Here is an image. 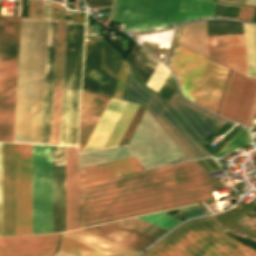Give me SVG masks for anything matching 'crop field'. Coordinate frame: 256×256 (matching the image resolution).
<instances>
[{
    "instance_id": "1",
    "label": "crop field",
    "mask_w": 256,
    "mask_h": 256,
    "mask_svg": "<svg viewBox=\"0 0 256 256\" xmlns=\"http://www.w3.org/2000/svg\"><path fill=\"white\" fill-rule=\"evenodd\" d=\"M225 188L196 160L78 185V228L212 199Z\"/></svg>"
},
{
    "instance_id": "2",
    "label": "crop field",
    "mask_w": 256,
    "mask_h": 256,
    "mask_svg": "<svg viewBox=\"0 0 256 256\" xmlns=\"http://www.w3.org/2000/svg\"><path fill=\"white\" fill-rule=\"evenodd\" d=\"M46 28L21 18L13 142L39 143Z\"/></svg>"
},
{
    "instance_id": "3",
    "label": "crop field",
    "mask_w": 256,
    "mask_h": 256,
    "mask_svg": "<svg viewBox=\"0 0 256 256\" xmlns=\"http://www.w3.org/2000/svg\"><path fill=\"white\" fill-rule=\"evenodd\" d=\"M65 231V147L52 146V232ZM51 232V146L32 145V234Z\"/></svg>"
},
{
    "instance_id": "4",
    "label": "crop field",
    "mask_w": 256,
    "mask_h": 256,
    "mask_svg": "<svg viewBox=\"0 0 256 256\" xmlns=\"http://www.w3.org/2000/svg\"><path fill=\"white\" fill-rule=\"evenodd\" d=\"M236 241L209 216L180 225L140 256H256L255 249Z\"/></svg>"
},
{
    "instance_id": "5",
    "label": "crop field",
    "mask_w": 256,
    "mask_h": 256,
    "mask_svg": "<svg viewBox=\"0 0 256 256\" xmlns=\"http://www.w3.org/2000/svg\"><path fill=\"white\" fill-rule=\"evenodd\" d=\"M84 24L67 23L59 145L76 146Z\"/></svg>"
},
{
    "instance_id": "6",
    "label": "crop field",
    "mask_w": 256,
    "mask_h": 256,
    "mask_svg": "<svg viewBox=\"0 0 256 256\" xmlns=\"http://www.w3.org/2000/svg\"><path fill=\"white\" fill-rule=\"evenodd\" d=\"M20 18L0 16V141L12 142Z\"/></svg>"
},
{
    "instance_id": "7",
    "label": "crop field",
    "mask_w": 256,
    "mask_h": 256,
    "mask_svg": "<svg viewBox=\"0 0 256 256\" xmlns=\"http://www.w3.org/2000/svg\"><path fill=\"white\" fill-rule=\"evenodd\" d=\"M122 99L138 103L147 109L189 160L208 156L206 151L167 108L168 106L166 107L161 101L162 99L160 98V100L155 93L146 89L130 70L128 71Z\"/></svg>"
},
{
    "instance_id": "8",
    "label": "crop field",
    "mask_w": 256,
    "mask_h": 256,
    "mask_svg": "<svg viewBox=\"0 0 256 256\" xmlns=\"http://www.w3.org/2000/svg\"><path fill=\"white\" fill-rule=\"evenodd\" d=\"M179 0H116L112 21L123 30L150 31L173 24Z\"/></svg>"
},
{
    "instance_id": "9",
    "label": "crop field",
    "mask_w": 256,
    "mask_h": 256,
    "mask_svg": "<svg viewBox=\"0 0 256 256\" xmlns=\"http://www.w3.org/2000/svg\"><path fill=\"white\" fill-rule=\"evenodd\" d=\"M120 62L105 42L86 41L82 89L112 97Z\"/></svg>"
},
{
    "instance_id": "10",
    "label": "crop field",
    "mask_w": 256,
    "mask_h": 256,
    "mask_svg": "<svg viewBox=\"0 0 256 256\" xmlns=\"http://www.w3.org/2000/svg\"><path fill=\"white\" fill-rule=\"evenodd\" d=\"M31 234V145L16 144V235Z\"/></svg>"
},
{
    "instance_id": "11",
    "label": "crop field",
    "mask_w": 256,
    "mask_h": 256,
    "mask_svg": "<svg viewBox=\"0 0 256 256\" xmlns=\"http://www.w3.org/2000/svg\"><path fill=\"white\" fill-rule=\"evenodd\" d=\"M203 145L225 121L191 105L177 93L166 102Z\"/></svg>"
},
{
    "instance_id": "12",
    "label": "crop field",
    "mask_w": 256,
    "mask_h": 256,
    "mask_svg": "<svg viewBox=\"0 0 256 256\" xmlns=\"http://www.w3.org/2000/svg\"><path fill=\"white\" fill-rule=\"evenodd\" d=\"M255 91V81L234 71L220 115L246 124Z\"/></svg>"
},
{
    "instance_id": "13",
    "label": "crop field",
    "mask_w": 256,
    "mask_h": 256,
    "mask_svg": "<svg viewBox=\"0 0 256 256\" xmlns=\"http://www.w3.org/2000/svg\"><path fill=\"white\" fill-rule=\"evenodd\" d=\"M60 233L0 237V256H53Z\"/></svg>"
},
{
    "instance_id": "14",
    "label": "crop field",
    "mask_w": 256,
    "mask_h": 256,
    "mask_svg": "<svg viewBox=\"0 0 256 256\" xmlns=\"http://www.w3.org/2000/svg\"><path fill=\"white\" fill-rule=\"evenodd\" d=\"M3 236L15 235V144L2 143Z\"/></svg>"
},
{
    "instance_id": "15",
    "label": "crop field",
    "mask_w": 256,
    "mask_h": 256,
    "mask_svg": "<svg viewBox=\"0 0 256 256\" xmlns=\"http://www.w3.org/2000/svg\"><path fill=\"white\" fill-rule=\"evenodd\" d=\"M207 35L243 34L242 23L206 21ZM228 67L247 76L243 35H225Z\"/></svg>"
},
{
    "instance_id": "16",
    "label": "crop field",
    "mask_w": 256,
    "mask_h": 256,
    "mask_svg": "<svg viewBox=\"0 0 256 256\" xmlns=\"http://www.w3.org/2000/svg\"><path fill=\"white\" fill-rule=\"evenodd\" d=\"M206 60V58L178 46L172 69L178 77L182 93L191 101H194Z\"/></svg>"
},
{
    "instance_id": "17",
    "label": "crop field",
    "mask_w": 256,
    "mask_h": 256,
    "mask_svg": "<svg viewBox=\"0 0 256 256\" xmlns=\"http://www.w3.org/2000/svg\"><path fill=\"white\" fill-rule=\"evenodd\" d=\"M57 22L48 21L40 143L49 144Z\"/></svg>"
},
{
    "instance_id": "18",
    "label": "crop field",
    "mask_w": 256,
    "mask_h": 256,
    "mask_svg": "<svg viewBox=\"0 0 256 256\" xmlns=\"http://www.w3.org/2000/svg\"><path fill=\"white\" fill-rule=\"evenodd\" d=\"M227 70L208 59L194 102L215 112Z\"/></svg>"
},
{
    "instance_id": "19",
    "label": "crop field",
    "mask_w": 256,
    "mask_h": 256,
    "mask_svg": "<svg viewBox=\"0 0 256 256\" xmlns=\"http://www.w3.org/2000/svg\"><path fill=\"white\" fill-rule=\"evenodd\" d=\"M66 23L58 22L50 144L58 145Z\"/></svg>"
},
{
    "instance_id": "20",
    "label": "crop field",
    "mask_w": 256,
    "mask_h": 256,
    "mask_svg": "<svg viewBox=\"0 0 256 256\" xmlns=\"http://www.w3.org/2000/svg\"><path fill=\"white\" fill-rule=\"evenodd\" d=\"M140 162L135 158L108 162L78 169V184L122 174L141 171Z\"/></svg>"
},
{
    "instance_id": "21",
    "label": "crop field",
    "mask_w": 256,
    "mask_h": 256,
    "mask_svg": "<svg viewBox=\"0 0 256 256\" xmlns=\"http://www.w3.org/2000/svg\"><path fill=\"white\" fill-rule=\"evenodd\" d=\"M95 227H99L96 229ZM90 232L111 239L138 251L148 246L155 238L117 225L113 222L84 228Z\"/></svg>"
},
{
    "instance_id": "22",
    "label": "crop field",
    "mask_w": 256,
    "mask_h": 256,
    "mask_svg": "<svg viewBox=\"0 0 256 256\" xmlns=\"http://www.w3.org/2000/svg\"><path fill=\"white\" fill-rule=\"evenodd\" d=\"M126 102L111 98L83 153L102 149Z\"/></svg>"
},
{
    "instance_id": "23",
    "label": "crop field",
    "mask_w": 256,
    "mask_h": 256,
    "mask_svg": "<svg viewBox=\"0 0 256 256\" xmlns=\"http://www.w3.org/2000/svg\"><path fill=\"white\" fill-rule=\"evenodd\" d=\"M63 236L113 256H134L138 251L110 241L83 229L62 233Z\"/></svg>"
},
{
    "instance_id": "24",
    "label": "crop field",
    "mask_w": 256,
    "mask_h": 256,
    "mask_svg": "<svg viewBox=\"0 0 256 256\" xmlns=\"http://www.w3.org/2000/svg\"><path fill=\"white\" fill-rule=\"evenodd\" d=\"M110 98L95 94L79 124L78 151L81 154Z\"/></svg>"
},
{
    "instance_id": "25",
    "label": "crop field",
    "mask_w": 256,
    "mask_h": 256,
    "mask_svg": "<svg viewBox=\"0 0 256 256\" xmlns=\"http://www.w3.org/2000/svg\"><path fill=\"white\" fill-rule=\"evenodd\" d=\"M215 4L209 0H180L173 25L191 19L212 17Z\"/></svg>"
},
{
    "instance_id": "26",
    "label": "crop field",
    "mask_w": 256,
    "mask_h": 256,
    "mask_svg": "<svg viewBox=\"0 0 256 256\" xmlns=\"http://www.w3.org/2000/svg\"><path fill=\"white\" fill-rule=\"evenodd\" d=\"M179 43L208 57L205 21L185 25Z\"/></svg>"
},
{
    "instance_id": "27",
    "label": "crop field",
    "mask_w": 256,
    "mask_h": 256,
    "mask_svg": "<svg viewBox=\"0 0 256 256\" xmlns=\"http://www.w3.org/2000/svg\"><path fill=\"white\" fill-rule=\"evenodd\" d=\"M127 61L144 84L159 62L138 44Z\"/></svg>"
},
{
    "instance_id": "28",
    "label": "crop field",
    "mask_w": 256,
    "mask_h": 256,
    "mask_svg": "<svg viewBox=\"0 0 256 256\" xmlns=\"http://www.w3.org/2000/svg\"><path fill=\"white\" fill-rule=\"evenodd\" d=\"M77 228V151L70 147V230Z\"/></svg>"
},
{
    "instance_id": "29",
    "label": "crop field",
    "mask_w": 256,
    "mask_h": 256,
    "mask_svg": "<svg viewBox=\"0 0 256 256\" xmlns=\"http://www.w3.org/2000/svg\"><path fill=\"white\" fill-rule=\"evenodd\" d=\"M137 107L138 105L127 102L103 149L117 146Z\"/></svg>"
},
{
    "instance_id": "30",
    "label": "crop field",
    "mask_w": 256,
    "mask_h": 256,
    "mask_svg": "<svg viewBox=\"0 0 256 256\" xmlns=\"http://www.w3.org/2000/svg\"><path fill=\"white\" fill-rule=\"evenodd\" d=\"M248 76L256 77V25L243 23Z\"/></svg>"
},
{
    "instance_id": "31",
    "label": "crop field",
    "mask_w": 256,
    "mask_h": 256,
    "mask_svg": "<svg viewBox=\"0 0 256 256\" xmlns=\"http://www.w3.org/2000/svg\"><path fill=\"white\" fill-rule=\"evenodd\" d=\"M61 251L74 256H110L62 236Z\"/></svg>"
},
{
    "instance_id": "32",
    "label": "crop field",
    "mask_w": 256,
    "mask_h": 256,
    "mask_svg": "<svg viewBox=\"0 0 256 256\" xmlns=\"http://www.w3.org/2000/svg\"><path fill=\"white\" fill-rule=\"evenodd\" d=\"M209 58L227 66L224 35L207 36Z\"/></svg>"
},
{
    "instance_id": "33",
    "label": "crop field",
    "mask_w": 256,
    "mask_h": 256,
    "mask_svg": "<svg viewBox=\"0 0 256 256\" xmlns=\"http://www.w3.org/2000/svg\"><path fill=\"white\" fill-rule=\"evenodd\" d=\"M116 222L156 238H158L159 236H161L163 233L167 231L135 218L116 221Z\"/></svg>"
},
{
    "instance_id": "34",
    "label": "crop field",
    "mask_w": 256,
    "mask_h": 256,
    "mask_svg": "<svg viewBox=\"0 0 256 256\" xmlns=\"http://www.w3.org/2000/svg\"><path fill=\"white\" fill-rule=\"evenodd\" d=\"M251 142L247 128L243 127L229 142H227L213 157L217 158L230 151L240 148Z\"/></svg>"
},
{
    "instance_id": "35",
    "label": "crop field",
    "mask_w": 256,
    "mask_h": 256,
    "mask_svg": "<svg viewBox=\"0 0 256 256\" xmlns=\"http://www.w3.org/2000/svg\"><path fill=\"white\" fill-rule=\"evenodd\" d=\"M137 218L144 220L146 222L152 223L154 225H157L159 227L165 228L167 230L172 228L177 223L181 222L180 220L170 217L161 212H157V213H153V214H149V215H145Z\"/></svg>"
},
{
    "instance_id": "36",
    "label": "crop field",
    "mask_w": 256,
    "mask_h": 256,
    "mask_svg": "<svg viewBox=\"0 0 256 256\" xmlns=\"http://www.w3.org/2000/svg\"><path fill=\"white\" fill-rule=\"evenodd\" d=\"M169 69L159 62L152 75L148 79L145 85L152 88L153 90H159L161 84L163 83Z\"/></svg>"
},
{
    "instance_id": "37",
    "label": "crop field",
    "mask_w": 256,
    "mask_h": 256,
    "mask_svg": "<svg viewBox=\"0 0 256 256\" xmlns=\"http://www.w3.org/2000/svg\"><path fill=\"white\" fill-rule=\"evenodd\" d=\"M176 90L177 83L172 73L169 72L167 78L165 79L158 93L162 96L163 100L166 101L174 92H176Z\"/></svg>"
},
{
    "instance_id": "38",
    "label": "crop field",
    "mask_w": 256,
    "mask_h": 256,
    "mask_svg": "<svg viewBox=\"0 0 256 256\" xmlns=\"http://www.w3.org/2000/svg\"><path fill=\"white\" fill-rule=\"evenodd\" d=\"M240 6L218 3L215 17L237 18Z\"/></svg>"
},
{
    "instance_id": "39",
    "label": "crop field",
    "mask_w": 256,
    "mask_h": 256,
    "mask_svg": "<svg viewBox=\"0 0 256 256\" xmlns=\"http://www.w3.org/2000/svg\"><path fill=\"white\" fill-rule=\"evenodd\" d=\"M128 71V66L125 62H121L119 74H118V79L114 91L113 97L121 99L122 93H123V88L126 80V75Z\"/></svg>"
},
{
    "instance_id": "40",
    "label": "crop field",
    "mask_w": 256,
    "mask_h": 256,
    "mask_svg": "<svg viewBox=\"0 0 256 256\" xmlns=\"http://www.w3.org/2000/svg\"><path fill=\"white\" fill-rule=\"evenodd\" d=\"M242 126L236 124L223 138L222 140L213 148L208 142L203 146L207 151L213 156L227 141H229L240 129Z\"/></svg>"
},
{
    "instance_id": "41",
    "label": "crop field",
    "mask_w": 256,
    "mask_h": 256,
    "mask_svg": "<svg viewBox=\"0 0 256 256\" xmlns=\"http://www.w3.org/2000/svg\"><path fill=\"white\" fill-rule=\"evenodd\" d=\"M69 230V147H66V231Z\"/></svg>"
},
{
    "instance_id": "42",
    "label": "crop field",
    "mask_w": 256,
    "mask_h": 256,
    "mask_svg": "<svg viewBox=\"0 0 256 256\" xmlns=\"http://www.w3.org/2000/svg\"><path fill=\"white\" fill-rule=\"evenodd\" d=\"M42 1L30 0L28 17L41 18Z\"/></svg>"
},
{
    "instance_id": "43",
    "label": "crop field",
    "mask_w": 256,
    "mask_h": 256,
    "mask_svg": "<svg viewBox=\"0 0 256 256\" xmlns=\"http://www.w3.org/2000/svg\"><path fill=\"white\" fill-rule=\"evenodd\" d=\"M184 216L186 219L194 217V216H198V215H202V213H200L194 205L191 206H186V207H181V208H177ZM175 210V209H173ZM171 211V210H169ZM169 211H163L164 213L169 212Z\"/></svg>"
},
{
    "instance_id": "44",
    "label": "crop field",
    "mask_w": 256,
    "mask_h": 256,
    "mask_svg": "<svg viewBox=\"0 0 256 256\" xmlns=\"http://www.w3.org/2000/svg\"><path fill=\"white\" fill-rule=\"evenodd\" d=\"M94 94L93 93H88V92H84L82 91V97H81V108H80V119L79 122L83 116V114L85 113L88 105L90 104L92 98H93Z\"/></svg>"
},
{
    "instance_id": "45",
    "label": "crop field",
    "mask_w": 256,
    "mask_h": 256,
    "mask_svg": "<svg viewBox=\"0 0 256 256\" xmlns=\"http://www.w3.org/2000/svg\"><path fill=\"white\" fill-rule=\"evenodd\" d=\"M64 7L51 2L50 19L63 20Z\"/></svg>"
},
{
    "instance_id": "46",
    "label": "crop field",
    "mask_w": 256,
    "mask_h": 256,
    "mask_svg": "<svg viewBox=\"0 0 256 256\" xmlns=\"http://www.w3.org/2000/svg\"><path fill=\"white\" fill-rule=\"evenodd\" d=\"M254 7L241 6L237 19L249 20L252 19Z\"/></svg>"
},
{
    "instance_id": "47",
    "label": "crop field",
    "mask_w": 256,
    "mask_h": 256,
    "mask_svg": "<svg viewBox=\"0 0 256 256\" xmlns=\"http://www.w3.org/2000/svg\"><path fill=\"white\" fill-rule=\"evenodd\" d=\"M183 26H180L178 28V31H177V35H176V38H175V41H174V45H173V48H172V51H171V54H170V57H169V60H168V63H167V65L170 66V67H172V63H173L174 56H175V53H176V50H177V46H178V42H179V39H180V36H181Z\"/></svg>"
},
{
    "instance_id": "48",
    "label": "crop field",
    "mask_w": 256,
    "mask_h": 256,
    "mask_svg": "<svg viewBox=\"0 0 256 256\" xmlns=\"http://www.w3.org/2000/svg\"><path fill=\"white\" fill-rule=\"evenodd\" d=\"M207 164H209L215 171L222 169L218 164L213 162L209 157L202 158ZM204 168H206L209 172H213L208 166H206L200 159L197 160Z\"/></svg>"
},
{
    "instance_id": "49",
    "label": "crop field",
    "mask_w": 256,
    "mask_h": 256,
    "mask_svg": "<svg viewBox=\"0 0 256 256\" xmlns=\"http://www.w3.org/2000/svg\"><path fill=\"white\" fill-rule=\"evenodd\" d=\"M112 0H89V7L111 6Z\"/></svg>"
},
{
    "instance_id": "50",
    "label": "crop field",
    "mask_w": 256,
    "mask_h": 256,
    "mask_svg": "<svg viewBox=\"0 0 256 256\" xmlns=\"http://www.w3.org/2000/svg\"><path fill=\"white\" fill-rule=\"evenodd\" d=\"M0 236H2L1 143H0Z\"/></svg>"
},
{
    "instance_id": "51",
    "label": "crop field",
    "mask_w": 256,
    "mask_h": 256,
    "mask_svg": "<svg viewBox=\"0 0 256 256\" xmlns=\"http://www.w3.org/2000/svg\"><path fill=\"white\" fill-rule=\"evenodd\" d=\"M255 108H256V94H255L254 101H253L251 111H250V114H249V117H248V121H247V124H246L249 127L251 126V122H252V119H253Z\"/></svg>"
},
{
    "instance_id": "52",
    "label": "crop field",
    "mask_w": 256,
    "mask_h": 256,
    "mask_svg": "<svg viewBox=\"0 0 256 256\" xmlns=\"http://www.w3.org/2000/svg\"><path fill=\"white\" fill-rule=\"evenodd\" d=\"M50 2H43L42 18L49 19Z\"/></svg>"
},
{
    "instance_id": "53",
    "label": "crop field",
    "mask_w": 256,
    "mask_h": 256,
    "mask_svg": "<svg viewBox=\"0 0 256 256\" xmlns=\"http://www.w3.org/2000/svg\"><path fill=\"white\" fill-rule=\"evenodd\" d=\"M232 125L233 123L226 122L215 134L217 135L224 134Z\"/></svg>"
},
{
    "instance_id": "54",
    "label": "crop field",
    "mask_w": 256,
    "mask_h": 256,
    "mask_svg": "<svg viewBox=\"0 0 256 256\" xmlns=\"http://www.w3.org/2000/svg\"><path fill=\"white\" fill-rule=\"evenodd\" d=\"M72 21H75V22H84V17L78 16V15H74V14H73Z\"/></svg>"
},
{
    "instance_id": "55",
    "label": "crop field",
    "mask_w": 256,
    "mask_h": 256,
    "mask_svg": "<svg viewBox=\"0 0 256 256\" xmlns=\"http://www.w3.org/2000/svg\"><path fill=\"white\" fill-rule=\"evenodd\" d=\"M71 17H72V14H71V13H69V14H64V20L71 21Z\"/></svg>"
},
{
    "instance_id": "56",
    "label": "crop field",
    "mask_w": 256,
    "mask_h": 256,
    "mask_svg": "<svg viewBox=\"0 0 256 256\" xmlns=\"http://www.w3.org/2000/svg\"><path fill=\"white\" fill-rule=\"evenodd\" d=\"M55 256H71V255L59 251Z\"/></svg>"
},
{
    "instance_id": "57",
    "label": "crop field",
    "mask_w": 256,
    "mask_h": 256,
    "mask_svg": "<svg viewBox=\"0 0 256 256\" xmlns=\"http://www.w3.org/2000/svg\"><path fill=\"white\" fill-rule=\"evenodd\" d=\"M252 21L256 22V7H255V9H254V14H253V19H252Z\"/></svg>"
},
{
    "instance_id": "58",
    "label": "crop field",
    "mask_w": 256,
    "mask_h": 256,
    "mask_svg": "<svg viewBox=\"0 0 256 256\" xmlns=\"http://www.w3.org/2000/svg\"><path fill=\"white\" fill-rule=\"evenodd\" d=\"M228 1H233V2H243V3H245V2H246V0H228Z\"/></svg>"
},
{
    "instance_id": "59",
    "label": "crop field",
    "mask_w": 256,
    "mask_h": 256,
    "mask_svg": "<svg viewBox=\"0 0 256 256\" xmlns=\"http://www.w3.org/2000/svg\"><path fill=\"white\" fill-rule=\"evenodd\" d=\"M246 3H252V4H256V0H247Z\"/></svg>"
},
{
    "instance_id": "60",
    "label": "crop field",
    "mask_w": 256,
    "mask_h": 256,
    "mask_svg": "<svg viewBox=\"0 0 256 256\" xmlns=\"http://www.w3.org/2000/svg\"><path fill=\"white\" fill-rule=\"evenodd\" d=\"M195 206L203 213V214H205L201 209V207L198 205V204H195Z\"/></svg>"
}]
</instances>
